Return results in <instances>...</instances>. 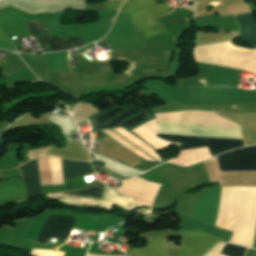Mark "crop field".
Wrapping results in <instances>:
<instances>
[{
    "mask_svg": "<svg viewBox=\"0 0 256 256\" xmlns=\"http://www.w3.org/2000/svg\"><path fill=\"white\" fill-rule=\"evenodd\" d=\"M0 33H2V32L0 31ZM3 34H0V41L11 42L10 38L5 36V35H3Z\"/></svg>",
    "mask_w": 256,
    "mask_h": 256,
    "instance_id": "obj_19",
    "label": "crop field"
},
{
    "mask_svg": "<svg viewBox=\"0 0 256 256\" xmlns=\"http://www.w3.org/2000/svg\"><path fill=\"white\" fill-rule=\"evenodd\" d=\"M170 11L165 3L158 5L155 0H127L120 13H128L136 33L151 28L161 27L155 17L168 14Z\"/></svg>",
    "mask_w": 256,
    "mask_h": 256,
    "instance_id": "obj_2",
    "label": "crop field"
},
{
    "mask_svg": "<svg viewBox=\"0 0 256 256\" xmlns=\"http://www.w3.org/2000/svg\"><path fill=\"white\" fill-rule=\"evenodd\" d=\"M254 248H256V241H255V246H254Z\"/></svg>",
    "mask_w": 256,
    "mask_h": 256,
    "instance_id": "obj_22",
    "label": "crop field"
},
{
    "mask_svg": "<svg viewBox=\"0 0 256 256\" xmlns=\"http://www.w3.org/2000/svg\"><path fill=\"white\" fill-rule=\"evenodd\" d=\"M251 14L248 12L246 14L236 16V20L241 29L240 38L253 49H256V20Z\"/></svg>",
    "mask_w": 256,
    "mask_h": 256,
    "instance_id": "obj_10",
    "label": "crop field"
},
{
    "mask_svg": "<svg viewBox=\"0 0 256 256\" xmlns=\"http://www.w3.org/2000/svg\"><path fill=\"white\" fill-rule=\"evenodd\" d=\"M124 0H117V1H106L104 2V11L108 10H118L119 6Z\"/></svg>",
    "mask_w": 256,
    "mask_h": 256,
    "instance_id": "obj_17",
    "label": "crop field"
},
{
    "mask_svg": "<svg viewBox=\"0 0 256 256\" xmlns=\"http://www.w3.org/2000/svg\"><path fill=\"white\" fill-rule=\"evenodd\" d=\"M157 137L167 141L181 143V150L208 146L212 156L223 153L230 149L244 146L242 140H227L164 134H158Z\"/></svg>",
    "mask_w": 256,
    "mask_h": 256,
    "instance_id": "obj_4",
    "label": "crop field"
},
{
    "mask_svg": "<svg viewBox=\"0 0 256 256\" xmlns=\"http://www.w3.org/2000/svg\"><path fill=\"white\" fill-rule=\"evenodd\" d=\"M38 164L42 184L64 183L60 158L54 156L39 158Z\"/></svg>",
    "mask_w": 256,
    "mask_h": 256,
    "instance_id": "obj_9",
    "label": "crop field"
},
{
    "mask_svg": "<svg viewBox=\"0 0 256 256\" xmlns=\"http://www.w3.org/2000/svg\"><path fill=\"white\" fill-rule=\"evenodd\" d=\"M245 251H246V248L244 247L227 244L224 250L222 251V254H225L228 256H243Z\"/></svg>",
    "mask_w": 256,
    "mask_h": 256,
    "instance_id": "obj_16",
    "label": "crop field"
},
{
    "mask_svg": "<svg viewBox=\"0 0 256 256\" xmlns=\"http://www.w3.org/2000/svg\"><path fill=\"white\" fill-rule=\"evenodd\" d=\"M102 189L103 188H101V187L91 186V187H89L87 189L79 190V191H74V192H70V193H75V194H80V195H85V196L90 195V196H94V197L100 198L101 197V193H102ZM63 193H66V192H63ZM70 193H68V194H70ZM75 194H73V195H75ZM80 195H78V196H80ZM90 196H88V197L89 198H94V197H90ZM98 198H94V199H98ZM99 200H101V199H99Z\"/></svg>",
    "mask_w": 256,
    "mask_h": 256,
    "instance_id": "obj_15",
    "label": "crop field"
},
{
    "mask_svg": "<svg viewBox=\"0 0 256 256\" xmlns=\"http://www.w3.org/2000/svg\"><path fill=\"white\" fill-rule=\"evenodd\" d=\"M170 9V8H169ZM173 11V10H172Z\"/></svg>",
    "mask_w": 256,
    "mask_h": 256,
    "instance_id": "obj_23",
    "label": "crop field"
},
{
    "mask_svg": "<svg viewBox=\"0 0 256 256\" xmlns=\"http://www.w3.org/2000/svg\"><path fill=\"white\" fill-rule=\"evenodd\" d=\"M217 158L221 171L256 170V146L232 150Z\"/></svg>",
    "mask_w": 256,
    "mask_h": 256,
    "instance_id": "obj_6",
    "label": "crop field"
},
{
    "mask_svg": "<svg viewBox=\"0 0 256 256\" xmlns=\"http://www.w3.org/2000/svg\"><path fill=\"white\" fill-rule=\"evenodd\" d=\"M249 1H251V2L254 3V4H256V0H249Z\"/></svg>",
    "mask_w": 256,
    "mask_h": 256,
    "instance_id": "obj_20",
    "label": "crop field"
},
{
    "mask_svg": "<svg viewBox=\"0 0 256 256\" xmlns=\"http://www.w3.org/2000/svg\"><path fill=\"white\" fill-rule=\"evenodd\" d=\"M125 109H129L128 111H126L125 113L119 115L118 117H116L115 119L109 121L107 124L99 127L101 124H103L104 122H106L107 120L113 118L115 115H117L118 113H120L121 111L125 110ZM134 108H113L111 110H109L108 112H106L104 115L94 119L95 125L97 129H103L104 127L108 126L109 124H111L112 122L116 121L117 119H119L120 117L124 116L125 114H127L128 112L132 111ZM117 132H119L120 134H122L123 136H125L127 139H129L130 141H132L133 143H135L137 146H139L140 148H142L143 150H145L147 153H149L150 155H152L153 157H155L157 160H161V158L159 157V155L157 154L156 151H154L152 148H150L148 145H146L145 143H143L142 141H140L139 139H137L136 137H134L133 135L129 134L127 131H125L123 128H117L115 129ZM106 134H108L110 137H112L113 139H115L116 141H118L119 143H121L122 145L126 146L127 148H129L130 150H132L133 152H135L136 154H138L139 156H141L142 158L146 159V160H150V161H154L153 159H151L149 156H147L146 154H144L143 152H141L139 149H137L136 147H134L133 145H131L129 142H127L126 140H124L123 138H121L120 136H118L116 133H114L113 131L109 130H103Z\"/></svg>",
    "mask_w": 256,
    "mask_h": 256,
    "instance_id": "obj_3",
    "label": "crop field"
},
{
    "mask_svg": "<svg viewBox=\"0 0 256 256\" xmlns=\"http://www.w3.org/2000/svg\"><path fill=\"white\" fill-rule=\"evenodd\" d=\"M148 245L143 248L129 250L130 256H165L167 237H212L206 233L196 231H158L146 234Z\"/></svg>",
    "mask_w": 256,
    "mask_h": 256,
    "instance_id": "obj_5",
    "label": "crop field"
},
{
    "mask_svg": "<svg viewBox=\"0 0 256 256\" xmlns=\"http://www.w3.org/2000/svg\"><path fill=\"white\" fill-rule=\"evenodd\" d=\"M74 219L62 215H49L37 242L46 244L51 237L68 239Z\"/></svg>",
    "mask_w": 256,
    "mask_h": 256,
    "instance_id": "obj_8",
    "label": "crop field"
},
{
    "mask_svg": "<svg viewBox=\"0 0 256 256\" xmlns=\"http://www.w3.org/2000/svg\"><path fill=\"white\" fill-rule=\"evenodd\" d=\"M28 178L31 197L40 192L39 172L36 159L22 165ZM20 166L25 181L0 182V206L18 202L30 197L27 178Z\"/></svg>",
    "mask_w": 256,
    "mask_h": 256,
    "instance_id": "obj_1",
    "label": "crop field"
},
{
    "mask_svg": "<svg viewBox=\"0 0 256 256\" xmlns=\"http://www.w3.org/2000/svg\"><path fill=\"white\" fill-rule=\"evenodd\" d=\"M223 240L217 238H182L181 247L168 241L166 256H204Z\"/></svg>",
    "mask_w": 256,
    "mask_h": 256,
    "instance_id": "obj_7",
    "label": "crop field"
},
{
    "mask_svg": "<svg viewBox=\"0 0 256 256\" xmlns=\"http://www.w3.org/2000/svg\"><path fill=\"white\" fill-rule=\"evenodd\" d=\"M63 160L65 179H73L94 174V170L88 162H76L71 160Z\"/></svg>",
    "mask_w": 256,
    "mask_h": 256,
    "instance_id": "obj_11",
    "label": "crop field"
},
{
    "mask_svg": "<svg viewBox=\"0 0 256 256\" xmlns=\"http://www.w3.org/2000/svg\"><path fill=\"white\" fill-rule=\"evenodd\" d=\"M161 33H165L164 29L163 28H159V29H151V30H148V31H145L143 32L144 34V37L145 39H149L153 36H156L158 34H161Z\"/></svg>",
    "mask_w": 256,
    "mask_h": 256,
    "instance_id": "obj_18",
    "label": "crop field"
},
{
    "mask_svg": "<svg viewBox=\"0 0 256 256\" xmlns=\"http://www.w3.org/2000/svg\"><path fill=\"white\" fill-rule=\"evenodd\" d=\"M218 256H225V255L220 254V255H218Z\"/></svg>",
    "mask_w": 256,
    "mask_h": 256,
    "instance_id": "obj_21",
    "label": "crop field"
},
{
    "mask_svg": "<svg viewBox=\"0 0 256 256\" xmlns=\"http://www.w3.org/2000/svg\"><path fill=\"white\" fill-rule=\"evenodd\" d=\"M84 44L82 37H50L51 51L78 48Z\"/></svg>",
    "mask_w": 256,
    "mask_h": 256,
    "instance_id": "obj_12",
    "label": "crop field"
},
{
    "mask_svg": "<svg viewBox=\"0 0 256 256\" xmlns=\"http://www.w3.org/2000/svg\"><path fill=\"white\" fill-rule=\"evenodd\" d=\"M112 71L109 64H100L78 69L79 76Z\"/></svg>",
    "mask_w": 256,
    "mask_h": 256,
    "instance_id": "obj_14",
    "label": "crop field"
},
{
    "mask_svg": "<svg viewBox=\"0 0 256 256\" xmlns=\"http://www.w3.org/2000/svg\"><path fill=\"white\" fill-rule=\"evenodd\" d=\"M26 22L30 35L35 37L38 45L49 44V31L46 25L39 20Z\"/></svg>",
    "mask_w": 256,
    "mask_h": 256,
    "instance_id": "obj_13",
    "label": "crop field"
}]
</instances>
